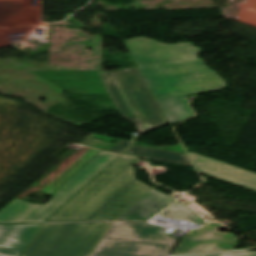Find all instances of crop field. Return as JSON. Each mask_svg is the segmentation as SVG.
<instances>
[{
	"label": "crop field",
	"instance_id": "obj_1",
	"mask_svg": "<svg viewBox=\"0 0 256 256\" xmlns=\"http://www.w3.org/2000/svg\"><path fill=\"white\" fill-rule=\"evenodd\" d=\"M155 98L217 91L225 81L210 70L192 43L163 44L138 37L124 41Z\"/></svg>",
	"mask_w": 256,
	"mask_h": 256
},
{
	"label": "crop field",
	"instance_id": "obj_2",
	"mask_svg": "<svg viewBox=\"0 0 256 256\" xmlns=\"http://www.w3.org/2000/svg\"><path fill=\"white\" fill-rule=\"evenodd\" d=\"M135 161L120 156L46 221L117 217L151 188L135 178Z\"/></svg>",
	"mask_w": 256,
	"mask_h": 256
},
{
	"label": "crop field",
	"instance_id": "obj_3",
	"mask_svg": "<svg viewBox=\"0 0 256 256\" xmlns=\"http://www.w3.org/2000/svg\"><path fill=\"white\" fill-rule=\"evenodd\" d=\"M112 220L44 222L21 256H84Z\"/></svg>",
	"mask_w": 256,
	"mask_h": 256
},
{
	"label": "crop field",
	"instance_id": "obj_4",
	"mask_svg": "<svg viewBox=\"0 0 256 256\" xmlns=\"http://www.w3.org/2000/svg\"><path fill=\"white\" fill-rule=\"evenodd\" d=\"M98 74L122 116L133 122L139 133L166 124L136 67Z\"/></svg>",
	"mask_w": 256,
	"mask_h": 256
},
{
	"label": "crop field",
	"instance_id": "obj_5",
	"mask_svg": "<svg viewBox=\"0 0 256 256\" xmlns=\"http://www.w3.org/2000/svg\"><path fill=\"white\" fill-rule=\"evenodd\" d=\"M162 230L143 222H114L90 256H168L178 239Z\"/></svg>",
	"mask_w": 256,
	"mask_h": 256
},
{
	"label": "crop field",
	"instance_id": "obj_6",
	"mask_svg": "<svg viewBox=\"0 0 256 256\" xmlns=\"http://www.w3.org/2000/svg\"><path fill=\"white\" fill-rule=\"evenodd\" d=\"M118 155L101 151L50 196L44 205L15 199L0 210V224L42 223Z\"/></svg>",
	"mask_w": 256,
	"mask_h": 256
},
{
	"label": "crop field",
	"instance_id": "obj_7",
	"mask_svg": "<svg viewBox=\"0 0 256 256\" xmlns=\"http://www.w3.org/2000/svg\"><path fill=\"white\" fill-rule=\"evenodd\" d=\"M218 225L209 224L190 231L172 255L234 250L237 238L233 234L216 231Z\"/></svg>",
	"mask_w": 256,
	"mask_h": 256
},
{
	"label": "crop field",
	"instance_id": "obj_8",
	"mask_svg": "<svg viewBox=\"0 0 256 256\" xmlns=\"http://www.w3.org/2000/svg\"><path fill=\"white\" fill-rule=\"evenodd\" d=\"M189 155L200 173L256 191V173L193 152Z\"/></svg>",
	"mask_w": 256,
	"mask_h": 256
},
{
	"label": "crop field",
	"instance_id": "obj_9",
	"mask_svg": "<svg viewBox=\"0 0 256 256\" xmlns=\"http://www.w3.org/2000/svg\"><path fill=\"white\" fill-rule=\"evenodd\" d=\"M173 199L155 189L150 190L116 220H148Z\"/></svg>",
	"mask_w": 256,
	"mask_h": 256
},
{
	"label": "crop field",
	"instance_id": "obj_10",
	"mask_svg": "<svg viewBox=\"0 0 256 256\" xmlns=\"http://www.w3.org/2000/svg\"><path fill=\"white\" fill-rule=\"evenodd\" d=\"M40 225H0V248L23 250Z\"/></svg>",
	"mask_w": 256,
	"mask_h": 256
},
{
	"label": "crop field",
	"instance_id": "obj_11",
	"mask_svg": "<svg viewBox=\"0 0 256 256\" xmlns=\"http://www.w3.org/2000/svg\"><path fill=\"white\" fill-rule=\"evenodd\" d=\"M153 220H161L176 224L185 225L191 228H197L204 224V222L188 207L175 202Z\"/></svg>",
	"mask_w": 256,
	"mask_h": 256
},
{
	"label": "crop field",
	"instance_id": "obj_12",
	"mask_svg": "<svg viewBox=\"0 0 256 256\" xmlns=\"http://www.w3.org/2000/svg\"><path fill=\"white\" fill-rule=\"evenodd\" d=\"M124 153L140 156V157H146L148 159H154V160L192 166L190 164L188 157L183 153H177V152H171V151H165V150H159V149H153V148H147V147H141V146H135V145H132Z\"/></svg>",
	"mask_w": 256,
	"mask_h": 256
},
{
	"label": "crop field",
	"instance_id": "obj_13",
	"mask_svg": "<svg viewBox=\"0 0 256 256\" xmlns=\"http://www.w3.org/2000/svg\"><path fill=\"white\" fill-rule=\"evenodd\" d=\"M170 123L180 121L192 115L185 96L158 99Z\"/></svg>",
	"mask_w": 256,
	"mask_h": 256
},
{
	"label": "crop field",
	"instance_id": "obj_14",
	"mask_svg": "<svg viewBox=\"0 0 256 256\" xmlns=\"http://www.w3.org/2000/svg\"><path fill=\"white\" fill-rule=\"evenodd\" d=\"M99 152L100 150L91 148L80 159H78L72 166H70L63 174H61L55 181H53L47 188H45L43 192L50 195Z\"/></svg>",
	"mask_w": 256,
	"mask_h": 256
},
{
	"label": "crop field",
	"instance_id": "obj_15",
	"mask_svg": "<svg viewBox=\"0 0 256 256\" xmlns=\"http://www.w3.org/2000/svg\"><path fill=\"white\" fill-rule=\"evenodd\" d=\"M200 256H256V251H242L224 254L200 255Z\"/></svg>",
	"mask_w": 256,
	"mask_h": 256
},
{
	"label": "crop field",
	"instance_id": "obj_16",
	"mask_svg": "<svg viewBox=\"0 0 256 256\" xmlns=\"http://www.w3.org/2000/svg\"><path fill=\"white\" fill-rule=\"evenodd\" d=\"M130 144L129 141H123L120 140L119 142H117L109 151L110 152H116L119 153L120 151H122L126 146H128Z\"/></svg>",
	"mask_w": 256,
	"mask_h": 256
},
{
	"label": "crop field",
	"instance_id": "obj_17",
	"mask_svg": "<svg viewBox=\"0 0 256 256\" xmlns=\"http://www.w3.org/2000/svg\"><path fill=\"white\" fill-rule=\"evenodd\" d=\"M20 250L0 249V256H19Z\"/></svg>",
	"mask_w": 256,
	"mask_h": 256
}]
</instances>
